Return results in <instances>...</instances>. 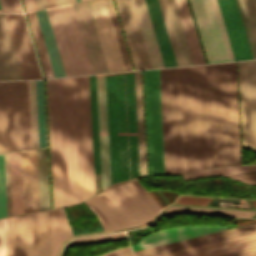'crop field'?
I'll list each match as a JSON object with an SVG mask.
<instances>
[{"label": "crop field", "instance_id": "1", "mask_svg": "<svg viewBox=\"0 0 256 256\" xmlns=\"http://www.w3.org/2000/svg\"><path fill=\"white\" fill-rule=\"evenodd\" d=\"M185 173L241 164L235 62L179 68Z\"/></svg>", "mask_w": 256, "mask_h": 256}, {"label": "crop field", "instance_id": "2", "mask_svg": "<svg viewBox=\"0 0 256 256\" xmlns=\"http://www.w3.org/2000/svg\"><path fill=\"white\" fill-rule=\"evenodd\" d=\"M53 209L95 194L88 76L46 80Z\"/></svg>", "mask_w": 256, "mask_h": 256}, {"label": "crop field", "instance_id": "3", "mask_svg": "<svg viewBox=\"0 0 256 256\" xmlns=\"http://www.w3.org/2000/svg\"><path fill=\"white\" fill-rule=\"evenodd\" d=\"M84 203L98 217L105 231L145 223L160 210L137 180L112 187Z\"/></svg>", "mask_w": 256, "mask_h": 256}, {"label": "crop field", "instance_id": "4", "mask_svg": "<svg viewBox=\"0 0 256 256\" xmlns=\"http://www.w3.org/2000/svg\"><path fill=\"white\" fill-rule=\"evenodd\" d=\"M29 148L27 81L0 82V152Z\"/></svg>", "mask_w": 256, "mask_h": 256}, {"label": "crop field", "instance_id": "5", "mask_svg": "<svg viewBox=\"0 0 256 256\" xmlns=\"http://www.w3.org/2000/svg\"><path fill=\"white\" fill-rule=\"evenodd\" d=\"M165 174L184 173L178 68L160 69Z\"/></svg>", "mask_w": 256, "mask_h": 256}, {"label": "crop field", "instance_id": "6", "mask_svg": "<svg viewBox=\"0 0 256 256\" xmlns=\"http://www.w3.org/2000/svg\"><path fill=\"white\" fill-rule=\"evenodd\" d=\"M46 11L65 75L92 73L72 5L69 4Z\"/></svg>", "mask_w": 256, "mask_h": 256}, {"label": "crop field", "instance_id": "7", "mask_svg": "<svg viewBox=\"0 0 256 256\" xmlns=\"http://www.w3.org/2000/svg\"><path fill=\"white\" fill-rule=\"evenodd\" d=\"M119 74V73H118ZM128 130H136L133 73L124 74ZM118 131H126L123 74L115 75ZM136 131L118 132L132 133ZM131 178L139 175L137 133L128 134ZM121 182L129 179L126 134L118 135ZM139 177V176H138ZM135 177V178H138ZM132 178V179H135ZM130 179V180H132Z\"/></svg>", "mask_w": 256, "mask_h": 256}, {"label": "crop field", "instance_id": "8", "mask_svg": "<svg viewBox=\"0 0 256 256\" xmlns=\"http://www.w3.org/2000/svg\"><path fill=\"white\" fill-rule=\"evenodd\" d=\"M208 63L234 60L216 0H190Z\"/></svg>", "mask_w": 256, "mask_h": 256}, {"label": "crop field", "instance_id": "9", "mask_svg": "<svg viewBox=\"0 0 256 256\" xmlns=\"http://www.w3.org/2000/svg\"><path fill=\"white\" fill-rule=\"evenodd\" d=\"M52 210L16 216L14 256H50Z\"/></svg>", "mask_w": 256, "mask_h": 256}, {"label": "crop field", "instance_id": "10", "mask_svg": "<svg viewBox=\"0 0 256 256\" xmlns=\"http://www.w3.org/2000/svg\"><path fill=\"white\" fill-rule=\"evenodd\" d=\"M150 175L164 174L158 69L144 71Z\"/></svg>", "mask_w": 256, "mask_h": 256}, {"label": "crop field", "instance_id": "11", "mask_svg": "<svg viewBox=\"0 0 256 256\" xmlns=\"http://www.w3.org/2000/svg\"><path fill=\"white\" fill-rule=\"evenodd\" d=\"M243 147L256 151V60L238 62Z\"/></svg>", "mask_w": 256, "mask_h": 256}, {"label": "crop field", "instance_id": "12", "mask_svg": "<svg viewBox=\"0 0 256 256\" xmlns=\"http://www.w3.org/2000/svg\"><path fill=\"white\" fill-rule=\"evenodd\" d=\"M88 2L108 71L126 70L105 0H90Z\"/></svg>", "mask_w": 256, "mask_h": 256}, {"label": "crop field", "instance_id": "13", "mask_svg": "<svg viewBox=\"0 0 256 256\" xmlns=\"http://www.w3.org/2000/svg\"><path fill=\"white\" fill-rule=\"evenodd\" d=\"M24 79L41 78L23 15L5 14Z\"/></svg>", "mask_w": 256, "mask_h": 256}, {"label": "crop field", "instance_id": "14", "mask_svg": "<svg viewBox=\"0 0 256 256\" xmlns=\"http://www.w3.org/2000/svg\"><path fill=\"white\" fill-rule=\"evenodd\" d=\"M93 73L108 72L88 2L72 4Z\"/></svg>", "mask_w": 256, "mask_h": 256}, {"label": "crop field", "instance_id": "15", "mask_svg": "<svg viewBox=\"0 0 256 256\" xmlns=\"http://www.w3.org/2000/svg\"><path fill=\"white\" fill-rule=\"evenodd\" d=\"M235 60L253 59L236 0H218Z\"/></svg>", "mask_w": 256, "mask_h": 256}, {"label": "crop field", "instance_id": "16", "mask_svg": "<svg viewBox=\"0 0 256 256\" xmlns=\"http://www.w3.org/2000/svg\"><path fill=\"white\" fill-rule=\"evenodd\" d=\"M256 233V224L243 226L239 228L229 229L224 232L215 233L207 236L184 240L176 243L153 247L145 250L136 251L135 256H156L238 236Z\"/></svg>", "mask_w": 256, "mask_h": 256}, {"label": "crop field", "instance_id": "17", "mask_svg": "<svg viewBox=\"0 0 256 256\" xmlns=\"http://www.w3.org/2000/svg\"><path fill=\"white\" fill-rule=\"evenodd\" d=\"M129 48L134 69H145L147 63L142 50L134 18L128 0H114Z\"/></svg>", "mask_w": 256, "mask_h": 256}, {"label": "crop field", "instance_id": "18", "mask_svg": "<svg viewBox=\"0 0 256 256\" xmlns=\"http://www.w3.org/2000/svg\"><path fill=\"white\" fill-rule=\"evenodd\" d=\"M228 227H212V226H194V227H178L166 231L153 233L142 237L140 243L132 245L133 251L153 247L165 243H170L182 239L200 236L212 232L225 230Z\"/></svg>", "mask_w": 256, "mask_h": 256}, {"label": "crop field", "instance_id": "19", "mask_svg": "<svg viewBox=\"0 0 256 256\" xmlns=\"http://www.w3.org/2000/svg\"><path fill=\"white\" fill-rule=\"evenodd\" d=\"M24 213L39 210L36 150L21 151Z\"/></svg>", "mask_w": 256, "mask_h": 256}, {"label": "crop field", "instance_id": "20", "mask_svg": "<svg viewBox=\"0 0 256 256\" xmlns=\"http://www.w3.org/2000/svg\"><path fill=\"white\" fill-rule=\"evenodd\" d=\"M23 79L4 14H0V80Z\"/></svg>", "mask_w": 256, "mask_h": 256}, {"label": "crop field", "instance_id": "21", "mask_svg": "<svg viewBox=\"0 0 256 256\" xmlns=\"http://www.w3.org/2000/svg\"><path fill=\"white\" fill-rule=\"evenodd\" d=\"M112 186L120 183L113 74H105Z\"/></svg>", "mask_w": 256, "mask_h": 256}, {"label": "crop field", "instance_id": "22", "mask_svg": "<svg viewBox=\"0 0 256 256\" xmlns=\"http://www.w3.org/2000/svg\"><path fill=\"white\" fill-rule=\"evenodd\" d=\"M253 246H256V234H251L160 256H213Z\"/></svg>", "mask_w": 256, "mask_h": 256}, {"label": "crop field", "instance_id": "23", "mask_svg": "<svg viewBox=\"0 0 256 256\" xmlns=\"http://www.w3.org/2000/svg\"><path fill=\"white\" fill-rule=\"evenodd\" d=\"M152 68L164 67L145 0H132Z\"/></svg>", "mask_w": 256, "mask_h": 256}, {"label": "crop field", "instance_id": "24", "mask_svg": "<svg viewBox=\"0 0 256 256\" xmlns=\"http://www.w3.org/2000/svg\"><path fill=\"white\" fill-rule=\"evenodd\" d=\"M165 67L177 66L158 0H146Z\"/></svg>", "mask_w": 256, "mask_h": 256}, {"label": "crop field", "instance_id": "25", "mask_svg": "<svg viewBox=\"0 0 256 256\" xmlns=\"http://www.w3.org/2000/svg\"><path fill=\"white\" fill-rule=\"evenodd\" d=\"M99 75H104V74H99ZM95 76H97V75H95ZM101 85H102V104H103V124H104V133H106V132H108V130H107V114H106V98H105L104 76H101ZM96 86H97V105H98L99 133H102L99 76L96 77ZM100 135H108V133H106V134H99V136ZM104 144H105L106 178H107V186H108V185H111L108 136H104ZM99 145H100L101 181H102V188H104L105 187V179L106 178L104 179V162H103L102 136L99 137ZM108 187H110V186H108ZM108 187H106V188H108Z\"/></svg>", "mask_w": 256, "mask_h": 256}, {"label": "crop field", "instance_id": "26", "mask_svg": "<svg viewBox=\"0 0 256 256\" xmlns=\"http://www.w3.org/2000/svg\"><path fill=\"white\" fill-rule=\"evenodd\" d=\"M140 177L147 175L141 71L134 72Z\"/></svg>", "mask_w": 256, "mask_h": 256}, {"label": "crop field", "instance_id": "27", "mask_svg": "<svg viewBox=\"0 0 256 256\" xmlns=\"http://www.w3.org/2000/svg\"><path fill=\"white\" fill-rule=\"evenodd\" d=\"M186 39L194 64L205 63L194 28L187 0H176Z\"/></svg>", "mask_w": 256, "mask_h": 256}, {"label": "crop field", "instance_id": "28", "mask_svg": "<svg viewBox=\"0 0 256 256\" xmlns=\"http://www.w3.org/2000/svg\"><path fill=\"white\" fill-rule=\"evenodd\" d=\"M12 215L23 213L20 151L9 153Z\"/></svg>", "mask_w": 256, "mask_h": 256}, {"label": "crop field", "instance_id": "29", "mask_svg": "<svg viewBox=\"0 0 256 256\" xmlns=\"http://www.w3.org/2000/svg\"><path fill=\"white\" fill-rule=\"evenodd\" d=\"M183 65L193 64L175 0H164Z\"/></svg>", "mask_w": 256, "mask_h": 256}, {"label": "crop field", "instance_id": "30", "mask_svg": "<svg viewBox=\"0 0 256 256\" xmlns=\"http://www.w3.org/2000/svg\"><path fill=\"white\" fill-rule=\"evenodd\" d=\"M36 13H37V17L39 20L42 34H43V38L46 44L52 69L54 72V76L55 77L65 76L62 65H61V61L58 55V51L55 45V41L52 35V31L49 25V21L46 15V11L43 10V11H38Z\"/></svg>", "mask_w": 256, "mask_h": 256}, {"label": "crop field", "instance_id": "31", "mask_svg": "<svg viewBox=\"0 0 256 256\" xmlns=\"http://www.w3.org/2000/svg\"><path fill=\"white\" fill-rule=\"evenodd\" d=\"M253 58L256 59V0H237Z\"/></svg>", "mask_w": 256, "mask_h": 256}, {"label": "crop field", "instance_id": "32", "mask_svg": "<svg viewBox=\"0 0 256 256\" xmlns=\"http://www.w3.org/2000/svg\"><path fill=\"white\" fill-rule=\"evenodd\" d=\"M71 236L64 209L53 210L51 256H55L59 244Z\"/></svg>", "mask_w": 256, "mask_h": 256}, {"label": "crop field", "instance_id": "33", "mask_svg": "<svg viewBox=\"0 0 256 256\" xmlns=\"http://www.w3.org/2000/svg\"><path fill=\"white\" fill-rule=\"evenodd\" d=\"M89 84H90L91 118H92V134H93L94 168H95V176H97V175H100V167H99L94 75L89 76ZM95 186H96V193L100 192L101 191L100 176L95 177Z\"/></svg>", "mask_w": 256, "mask_h": 256}, {"label": "crop field", "instance_id": "34", "mask_svg": "<svg viewBox=\"0 0 256 256\" xmlns=\"http://www.w3.org/2000/svg\"><path fill=\"white\" fill-rule=\"evenodd\" d=\"M40 210L50 209L46 148L37 150Z\"/></svg>", "mask_w": 256, "mask_h": 256}, {"label": "crop field", "instance_id": "35", "mask_svg": "<svg viewBox=\"0 0 256 256\" xmlns=\"http://www.w3.org/2000/svg\"><path fill=\"white\" fill-rule=\"evenodd\" d=\"M27 15H28V19H29V22H30V25H31V29H32V32H33L35 43H36V46H37V49H38V53H39V56H40L42 67H43V70H44V73H45V77L46 78L54 77L52 69H51V65H50V62H49V58H48V55H47V51H46V48H45V45H44V41H43V38H42V34H41V31H40V27H39V24H38V20H37V17H36V13L33 12V13H29Z\"/></svg>", "mask_w": 256, "mask_h": 256}, {"label": "crop field", "instance_id": "36", "mask_svg": "<svg viewBox=\"0 0 256 256\" xmlns=\"http://www.w3.org/2000/svg\"><path fill=\"white\" fill-rule=\"evenodd\" d=\"M255 212L256 211L193 208V207H170V208L166 209L164 214L192 213V214H209V215L251 217Z\"/></svg>", "mask_w": 256, "mask_h": 256}, {"label": "crop field", "instance_id": "37", "mask_svg": "<svg viewBox=\"0 0 256 256\" xmlns=\"http://www.w3.org/2000/svg\"><path fill=\"white\" fill-rule=\"evenodd\" d=\"M256 170V164L252 165H237V166H224V167H217L207 170H202L198 172L184 174V179H194L200 177H211V176H219V175H226L244 171Z\"/></svg>", "mask_w": 256, "mask_h": 256}, {"label": "crop field", "instance_id": "38", "mask_svg": "<svg viewBox=\"0 0 256 256\" xmlns=\"http://www.w3.org/2000/svg\"><path fill=\"white\" fill-rule=\"evenodd\" d=\"M39 147L46 146L42 80L35 81Z\"/></svg>", "mask_w": 256, "mask_h": 256}, {"label": "crop field", "instance_id": "39", "mask_svg": "<svg viewBox=\"0 0 256 256\" xmlns=\"http://www.w3.org/2000/svg\"><path fill=\"white\" fill-rule=\"evenodd\" d=\"M32 148L38 147L34 81H28Z\"/></svg>", "mask_w": 256, "mask_h": 256}, {"label": "crop field", "instance_id": "40", "mask_svg": "<svg viewBox=\"0 0 256 256\" xmlns=\"http://www.w3.org/2000/svg\"><path fill=\"white\" fill-rule=\"evenodd\" d=\"M106 2H107V6H108V9H109V12H110V16H111V19H112V22H113L114 29H115V32H116V36H117V39H118V42H119V46H120V49H121V52H122V56H123V59H124V62H125L126 69L127 70H132L129 59H128V55H127V52H126V48H125V45H124V42H123V38H122V35H121V31H120V28H119V24H118V21H117V18H116V14H115V11H114L112 1L111 0H106Z\"/></svg>", "mask_w": 256, "mask_h": 256}, {"label": "crop field", "instance_id": "41", "mask_svg": "<svg viewBox=\"0 0 256 256\" xmlns=\"http://www.w3.org/2000/svg\"><path fill=\"white\" fill-rule=\"evenodd\" d=\"M124 238H126L124 232H120V233H112V234L78 238L76 240L71 241L68 244L70 246L75 244H94V243H103L107 241L124 239Z\"/></svg>", "mask_w": 256, "mask_h": 256}, {"label": "crop field", "instance_id": "42", "mask_svg": "<svg viewBox=\"0 0 256 256\" xmlns=\"http://www.w3.org/2000/svg\"><path fill=\"white\" fill-rule=\"evenodd\" d=\"M5 216H7V209H6L4 161H3V153H0V217H5Z\"/></svg>", "mask_w": 256, "mask_h": 256}, {"label": "crop field", "instance_id": "43", "mask_svg": "<svg viewBox=\"0 0 256 256\" xmlns=\"http://www.w3.org/2000/svg\"><path fill=\"white\" fill-rule=\"evenodd\" d=\"M159 3H160V6H161V10H162V13H163V17H164V20H165L166 27H167V30H168V34H169V37H170L172 48H173V51H174V54H175L177 65L180 66L182 64H181V60H180L179 53H178V50H177V46H176V43H175V39H174V36H173V32H172V29H171V25H170V22H169V19H168V15H167V12H166L164 1L159 0Z\"/></svg>", "mask_w": 256, "mask_h": 256}, {"label": "crop field", "instance_id": "44", "mask_svg": "<svg viewBox=\"0 0 256 256\" xmlns=\"http://www.w3.org/2000/svg\"><path fill=\"white\" fill-rule=\"evenodd\" d=\"M213 198L196 197V196H180L174 204L200 205L207 206Z\"/></svg>", "mask_w": 256, "mask_h": 256}, {"label": "crop field", "instance_id": "45", "mask_svg": "<svg viewBox=\"0 0 256 256\" xmlns=\"http://www.w3.org/2000/svg\"><path fill=\"white\" fill-rule=\"evenodd\" d=\"M14 228H15V216L8 218V230H7V255L13 256L14 252Z\"/></svg>", "mask_w": 256, "mask_h": 256}, {"label": "crop field", "instance_id": "46", "mask_svg": "<svg viewBox=\"0 0 256 256\" xmlns=\"http://www.w3.org/2000/svg\"><path fill=\"white\" fill-rule=\"evenodd\" d=\"M227 177H230L248 184L256 185V171L244 172V173H239L234 175H227Z\"/></svg>", "mask_w": 256, "mask_h": 256}, {"label": "crop field", "instance_id": "47", "mask_svg": "<svg viewBox=\"0 0 256 256\" xmlns=\"http://www.w3.org/2000/svg\"><path fill=\"white\" fill-rule=\"evenodd\" d=\"M7 218L0 219V256L6 254Z\"/></svg>", "mask_w": 256, "mask_h": 256}, {"label": "crop field", "instance_id": "48", "mask_svg": "<svg viewBox=\"0 0 256 256\" xmlns=\"http://www.w3.org/2000/svg\"><path fill=\"white\" fill-rule=\"evenodd\" d=\"M5 4L8 12H22L19 0H5ZM5 4L3 0H0V12H7Z\"/></svg>", "mask_w": 256, "mask_h": 256}, {"label": "crop field", "instance_id": "49", "mask_svg": "<svg viewBox=\"0 0 256 256\" xmlns=\"http://www.w3.org/2000/svg\"><path fill=\"white\" fill-rule=\"evenodd\" d=\"M5 160V176H6V192H7V208L8 216L11 215V205H10V184H9V163H8V153H4Z\"/></svg>", "mask_w": 256, "mask_h": 256}, {"label": "crop field", "instance_id": "50", "mask_svg": "<svg viewBox=\"0 0 256 256\" xmlns=\"http://www.w3.org/2000/svg\"><path fill=\"white\" fill-rule=\"evenodd\" d=\"M218 256H256V247L235 251L227 254H222Z\"/></svg>", "mask_w": 256, "mask_h": 256}, {"label": "crop field", "instance_id": "51", "mask_svg": "<svg viewBox=\"0 0 256 256\" xmlns=\"http://www.w3.org/2000/svg\"><path fill=\"white\" fill-rule=\"evenodd\" d=\"M112 254H113V256H131L130 250H129L128 246L122 247V248H118V249L112 251ZM101 256H112V255L109 252V253H106V254L101 255Z\"/></svg>", "mask_w": 256, "mask_h": 256}, {"label": "crop field", "instance_id": "52", "mask_svg": "<svg viewBox=\"0 0 256 256\" xmlns=\"http://www.w3.org/2000/svg\"><path fill=\"white\" fill-rule=\"evenodd\" d=\"M129 1H130V5H131V8H132V11H133V15H134V18H135L137 29H138V32H139V36H140V39H141V43H142V46H143V49H144V53H145V56H146L148 67L151 68L149 60H148V56H147V53H146V50H145V46H144V43H143V39H142V36H141V32H140V29H139V25H138V22H137V18H136L135 12H134V8H133V5H132V1L131 0H129Z\"/></svg>", "mask_w": 256, "mask_h": 256}, {"label": "crop field", "instance_id": "53", "mask_svg": "<svg viewBox=\"0 0 256 256\" xmlns=\"http://www.w3.org/2000/svg\"><path fill=\"white\" fill-rule=\"evenodd\" d=\"M23 4L26 12L34 10L31 0H23Z\"/></svg>", "mask_w": 256, "mask_h": 256}, {"label": "crop field", "instance_id": "54", "mask_svg": "<svg viewBox=\"0 0 256 256\" xmlns=\"http://www.w3.org/2000/svg\"><path fill=\"white\" fill-rule=\"evenodd\" d=\"M35 1L38 9L48 7L46 0H35Z\"/></svg>", "mask_w": 256, "mask_h": 256}, {"label": "crop field", "instance_id": "55", "mask_svg": "<svg viewBox=\"0 0 256 256\" xmlns=\"http://www.w3.org/2000/svg\"><path fill=\"white\" fill-rule=\"evenodd\" d=\"M55 1L57 6L70 3L69 0H55Z\"/></svg>", "mask_w": 256, "mask_h": 256}, {"label": "crop field", "instance_id": "56", "mask_svg": "<svg viewBox=\"0 0 256 256\" xmlns=\"http://www.w3.org/2000/svg\"><path fill=\"white\" fill-rule=\"evenodd\" d=\"M47 2H48V6H49V7L56 6L54 0H47Z\"/></svg>", "mask_w": 256, "mask_h": 256}, {"label": "crop field", "instance_id": "57", "mask_svg": "<svg viewBox=\"0 0 256 256\" xmlns=\"http://www.w3.org/2000/svg\"><path fill=\"white\" fill-rule=\"evenodd\" d=\"M251 203L254 205V207L256 208V201L250 200Z\"/></svg>", "mask_w": 256, "mask_h": 256}, {"label": "crop field", "instance_id": "58", "mask_svg": "<svg viewBox=\"0 0 256 256\" xmlns=\"http://www.w3.org/2000/svg\"><path fill=\"white\" fill-rule=\"evenodd\" d=\"M32 2H33V5H34V9L36 10L37 8H36L35 1H34V0H32Z\"/></svg>", "mask_w": 256, "mask_h": 256}, {"label": "crop field", "instance_id": "59", "mask_svg": "<svg viewBox=\"0 0 256 256\" xmlns=\"http://www.w3.org/2000/svg\"><path fill=\"white\" fill-rule=\"evenodd\" d=\"M76 0H70V2L72 3V2H75Z\"/></svg>", "mask_w": 256, "mask_h": 256}, {"label": "crop field", "instance_id": "60", "mask_svg": "<svg viewBox=\"0 0 256 256\" xmlns=\"http://www.w3.org/2000/svg\"><path fill=\"white\" fill-rule=\"evenodd\" d=\"M77 1H79V0H77Z\"/></svg>", "mask_w": 256, "mask_h": 256}]
</instances>
